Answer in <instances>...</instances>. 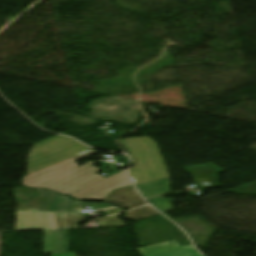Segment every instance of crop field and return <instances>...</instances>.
Segmentation results:
<instances>
[{"mask_svg":"<svg viewBox=\"0 0 256 256\" xmlns=\"http://www.w3.org/2000/svg\"><path fill=\"white\" fill-rule=\"evenodd\" d=\"M14 194L19 202L17 211L54 212L55 194L52 192L16 188Z\"/></svg>","mask_w":256,"mask_h":256,"instance_id":"8a807250","label":"crop field"},{"mask_svg":"<svg viewBox=\"0 0 256 256\" xmlns=\"http://www.w3.org/2000/svg\"><path fill=\"white\" fill-rule=\"evenodd\" d=\"M16 231L58 229L54 213L17 212Z\"/></svg>","mask_w":256,"mask_h":256,"instance_id":"ac0d7876","label":"crop field"},{"mask_svg":"<svg viewBox=\"0 0 256 256\" xmlns=\"http://www.w3.org/2000/svg\"><path fill=\"white\" fill-rule=\"evenodd\" d=\"M142 256H202L192 245L181 247L176 240L137 249Z\"/></svg>","mask_w":256,"mask_h":256,"instance_id":"34b2d1b8","label":"crop field"},{"mask_svg":"<svg viewBox=\"0 0 256 256\" xmlns=\"http://www.w3.org/2000/svg\"><path fill=\"white\" fill-rule=\"evenodd\" d=\"M106 201L129 210L145 204L133 187L115 191Z\"/></svg>","mask_w":256,"mask_h":256,"instance_id":"412701ff","label":"crop field"},{"mask_svg":"<svg viewBox=\"0 0 256 256\" xmlns=\"http://www.w3.org/2000/svg\"><path fill=\"white\" fill-rule=\"evenodd\" d=\"M137 187L145 198L171 192L170 178L138 185Z\"/></svg>","mask_w":256,"mask_h":256,"instance_id":"f4fd0767","label":"crop field"},{"mask_svg":"<svg viewBox=\"0 0 256 256\" xmlns=\"http://www.w3.org/2000/svg\"><path fill=\"white\" fill-rule=\"evenodd\" d=\"M59 229L79 228L77 223L86 222L84 214L55 213Z\"/></svg>","mask_w":256,"mask_h":256,"instance_id":"dd49c442","label":"crop field"},{"mask_svg":"<svg viewBox=\"0 0 256 256\" xmlns=\"http://www.w3.org/2000/svg\"><path fill=\"white\" fill-rule=\"evenodd\" d=\"M44 253H61L60 230L44 231Z\"/></svg>","mask_w":256,"mask_h":256,"instance_id":"e52e79f7","label":"crop field"},{"mask_svg":"<svg viewBox=\"0 0 256 256\" xmlns=\"http://www.w3.org/2000/svg\"><path fill=\"white\" fill-rule=\"evenodd\" d=\"M80 203L56 194L55 212H78Z\"/></svg>","mask_w":256,"mask_h":256,"instance_id":"d8731c3e","label":"crop field"},{"mask_svg":"<svg viewBox=\"0 0 256 256\" xmlns=\"http://www.w3.org/2000/svg\"><path fill=\"white\" fill-rule=\"evenodd\" d=\"M155 215H159V213H157L150 206H146V207L126 213V217L128 219L135 220V221L142 220Z\"/></svg>","mask_w":256,"mask_h":256,"instance_id":"5a996713","label":"crop field"},{"mask_svg":"<svg viewBox=\"0 0 256 256\" xmlns=\"http://www.w3.org/2000/svg\"><path fill=\"white\" fill-rule=\"evenodd\" d=\"M155 208H157L160 212L164 213L170 210H173L171 205L174 200L164 199L163 196L148 200Z\"/></svg>","mask_w":256,"mask_h":256,"instance_id":"3316defc","label":"crop field"},{"mask_svg":"<svg viewBox=\"0 0 256 256\" xmlns=\"http://www.w3.org/2000/svg\"><path fill=\"white\" fill-rule=\"evenodd\" d=\"M83 205L84 207L91 206L96 212L103 211L107 215L123 211V209H120L118 207H111L107 203H104L102 205L96 203H85Z\"/></svg>","mask_w":256,"mask_h":256,"instance_id":"28ad6ade","label":"crop field"},{"mask_svg":"<svg viewBox=\"0 0 256 256\" xmlns=\"http://www.w3.org/2000/svg\"><path fill=\"white\" fill-rule=\"evenodd\" d=\"M121 215H117V216H113V217H109V218L98 219V222L101 227L127 226L124 224V222L122 220L119 219L121 217Z\"/></svg>","mask_w":256,"mask_h":256,"instance_id":"d1516ede","label":"crop field"},{"mask_svg":"<svg viewBox=\"0 0 256 256\" xmlns=\"http://www.w3.org/2000/svg\"><path fill=\"white\" fill-rule=\"evenodd\" d=\"M62 253L68 252V236L67 230H61Z\"/></svg>","mask_w":256,"mask_h":256,"instance_id":"22f410ed","label":"crop field"},{"mask_svg":"<svg viewBox=\"0 0 256 256\" xmlns=\"http://www.w3.org/2000/svg\"><path fill=\"white\" fill-rule=\"evenodd\" d=\"M51 256H75L73 253L52 254Z\"/></svg>","mask_w":256,"mask_h":256,"instance_id":"cbeb9de0","label":"crop field"}]
</instances>
